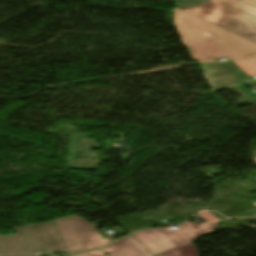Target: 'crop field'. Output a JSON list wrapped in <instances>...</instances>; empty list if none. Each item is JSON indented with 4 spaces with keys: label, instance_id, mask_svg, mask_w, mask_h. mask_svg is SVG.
I'll list each match as a JSON object with an SVG mask.
<instances>
[{
    "label": "crop field",
    "instance_id": "cbeb9de0",
    "mask_svg": "<svg viewBox=\"0 0 256 256\" xmlns=\"http://www.w3.org/2000/svg\"><path fill=\"white\" fill-rule=\"evenodd\" d=\"M252 179L256 181V177H255V178H252Z\"/></svg>",
    "mask_w": 256,
    "mask_h": 256
},
{
    "label": "crop field",
    "instance_id": "28ad6ade",
    "mask_svg": "<svg viewBox=\"0 0 256 256\" xmlns=\"http://www.w3.org/2000/svg\"><path fill=\"white\" fill-rule=\"evenodd\" d=\"M234 62L250 77L256 76V56L247 60H235Z\"/></svg>",
    "mask_w": 256,
    "mask_h": 256
},
{
    "label": "crop field",
    "instance_id": "ac0d7876",
    "mask_svg": "<svg viewBox=\"0 0 256 256\" xmlns=\"http://www.w3.org/2000/svg\"><path fill=\"white\" fill-rule=\"evenodd\" d=\"M174 7L256 42V17L219 0H177Z\"/></svg>",
    "mask_w": 256,
    "mask_h": 256
},
{
    "label": "crop field",
    "instance_id": "dd49c442",
    "mask_svg": "<svg viewBox=\"0 0 256 256\" xmlns=\"http://www.w3.org/2000/svg\"><path fill=\"white\" fill-rule=\"evenodd\" d=\"M200 66L204 72L206 81L213 91L222 90L241 83L217 63H205L200 64Z\"/></svg>",
    "mask_w": 256,
    "mask_h": 256
},
{
    "label": "crop field",
    "instance_id": "d1516ede",
    "mask_svg": "<svg viewBox=\"0 0 256 256\" xmlns=\"http://www.w3.org/2000/svg\"><path fill=\"white\" fill-rule=\"evenodd\" d=\"M72 256H104L101 250L94 251V252H88L78 255H72Z\"/></svg>",
    "mask_w": 256,
    "mask_h": 256
},
{
    "label": "crop field",
    "instance_id": "34b2d1b8",
    "mask_svg": "<svg viewBox=\"0 0 256 256\" xmlns=\"http://www.w3.org/2000/svg\"><path fill=\"white\" fill-rule=\"evenodd\" d=\"M14 231L16 235L0 236V255L33 253L39 249L67 253L53 220Z\"/></svg>",
    "mask_w": 256,
    "mask_h": 256
},
{
    "label": "crop field",
    "instance_id": "22f410ed",
    "mask_svg": "<svg viewBox=\"0 0 256 256\" xmlns=\"http://www.w3.org/2000/svg\"><path fill=\"white\" fill-rule=\"evenodd\" d=\"M26 256H39V255H26Z\"/></svg>",
    "mask_w": 256,
    "mask_h": 256
},
{
    "label": "crop field",
    "instance_id": "412701ff",
    "mask_svg": "<svg viewBox=\"0 0 256 256\" xmlns=\"http://www.w3.org/2000/svg\"><path fill=\"white\" fill-rule=\"evenodd\" d=\"M198 215L206 222L201 225L185 223L179 230L167 229L138 232L133 236L153 255L181 246L194 239L214 233L211 229L217 227L220 221L209 212H200Z\"/></svg>",
    "mask_w": 256,
    "mask_h": 256
},
{
    "label": "crop field",
    "instance_id": "8a807250",
    "mask_svg": "<svg viewBox=\"0 0 256 256\" xmlns=\"http://www.w3.org/2000/svg\"><path fill=\"white\" fill-rule=\"evenodd\" d=\"M174 12V24L196 62L256 54V43L178 9Z\"/></svg>",
    "mask_w": 256,
    "mask_h": 256
},
{
    "label": "crop field",
    "instance_id": "d8731c3e",
    "mask_svg": "<svg viewBox=\"0 0 256 256\" xmlns=\"http://www.w3.org/2000/svg\"><path fill=\"white\" fill-rule=\"evenodd\" d=\"M156 256H197L193 243L183 245Z\"/></svg>",
    "mask_w": 256,
    "mask_h": 256
},
{
    "label": "crop field",
    "instance_id": "5a996713",
    "mask_svg": "<svg viewBox=\"0 0 256 256\" xmlns=\"http://www.w3.org/2000/svg\"><path fill=\"white\" fill-rule=\"evenodd\" d=\"M256 16V0H222Z\"/></svg>",
    "mask_w": 256,
    "mask_h": 256
},
{
    "label": "crop field",
    "instance_id": "3316defc",
    "mask_svg": "<svg viewBox=\"0 0 256 256\" xmlns=\"http://www.w3.org/2000/svg\"><path fill=\"white\" fill-rule=\"evenodd\" d=\"M218 64H220L223 68H225L228 72H230L240 81L245 82L247 80H250V77L243 70H241L234 62H224Z\"/></svg>",
    "mask_w": 256,
    "mask_h": 256
},
{
    "label": "crop field",
    "instance_id": "f4fd0767",
    "mask_svg": "<svg viewBox=\"0 0 256 256\" xmlns=\"http://www.w3.org/2000/svg\"><path fill=\"white\" fill-rule=\"evenodd\" d=\"M68 253L97 248L112 242L95 233L90 222L72 216L54 220Z\"/></svg>",
    "mask_w": 256,
    "mask_h": 256
},
{
    "label": "crop field",
    "instance_id": "e52e79f7",
    "mask_svg": "<svg viewBox=\"0 0 256 256\" xmlns=\"http://www.w3.org/2000/svg\"><path fill=\"white\" fill-rule=\"evenodd\" d=\"M103 249L109 256H153L132 235Z\"/></svg>",
    "mask_w": 256,
    "mask_h": 256
}]
</instances>
